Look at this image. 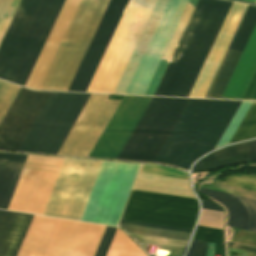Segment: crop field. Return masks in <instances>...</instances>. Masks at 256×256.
Instances as JSON below:
<instances>
[{"instance_id":"obj_1","label":"crop field","mask_w":256,"mask_h":256,"mask_svg":"<svg viewBox=\"0 0 256 256\" xmlns=\"http://www.w3.org/2000/svg\"><path fill=\"white\" fill-rule=\"evenodd\" d=\"M232 4L199 0L154 95L188 96ZM247 6L233 4L189 97H204ZM255 23L249 5L204 98L221 97Z\"/></svg>"},{"instance_id":"obj_2","label":"crop field","mask_w":256,"mask_h":256,"mask_svg":"<svg viewBox=\"0 0 256 256\" xmlns=\"http://www.w3.org/2000/svg\"><path fill=\"white\" fill-rule=\"evenodd\" d=\"M51 92L21 88L0 123V149L17 151ZM90 94L52 92L18 151L57 154ZM91 94L58 154L88 157L120 101Z\"/></svg>"},{"instance_id":"obj_3","label":"crop field","mask_w":256,"mask_h":256,"mask_svg":"<svg viewBox=\"0 0 256 256\" xmlns=\"http://www.w3.org/2000/svg\"><path fill=\"white\" fill-rule=\"evenodd\" d=\"M240 103L153 97L117 159L188 170L195 159L214 149Z\"/></svg>"},{"instance_id":"obj_4","label":"crop field","mask_w":256,"mask_h":256,"mask_svg":"<svg viewBox=\"0 0 256 256\" xmlns=\"http://www.w3.org/2000/svg\"><path fill=\"white\" fill-rule=\"evenodd\" d=\"M157 0H111L67 91L113 93Z\"/></svg>"},{"instance_id":"obj_5","label":"crop field","mask_w":256,"mask_h":256,"mask_svg":"<svg viewBox=\"0 0 256 256\" xmlns=\"http://www.w3.org/2000/svg\"><path fill=\"white\" fill-rule=\"evenodd\" d=\"M65 0H21L0 44V79L25 85Z\"/></svg>"},{"instance_id":"obj_6","label":"crop field","mask_w":256,"mask_h":256,"mask_svg":"<svg viewBox=\"0 0 256 256\" xmlns=\"http://www.w3.org/2000/svg\"><path fill=\"white\" fill-rule=\"evenodd\" d=\"M109 1H81L39 90H67Z\"/></svg>"},{"instance_id":"obj_7","label":"crop field","mask_w":256,"mask_h":256,"mask_svg":"<svg viewBox=\"0 0 256 256\" xmlns=\"http://www.w3.org/2000/svg\"><path fill=\"white\" fill-rule=\"evenodd\" d=\"M101 163L65 158L43 215L80 220Z\"/></svg>"},{"instance_id":"obj_8","label":"crop field","mask_w":256,"mask_h":256,"mask_svg":"<svg viewBox=\"0 0 256 256\" xmlns=\"http://www.w3.org/2000/svg\"><path fill=\"white\" fill-rule=\"evenodd\" d=\"M197 211L193 198L132 190L121 219L192 229Z\"/></svg>"},{"instance_id":"obj_9","label":"crop field","mask_w":256,"mask_h":256,"mask_svg":"<svg viewBox=\"0 0 256 256\" xmlns=\"http://www.w3.org/2000/svg\"><path fill=\"white\" fill-rule=\"evenodd\" d=\"M63 159L28 155L7 210L42 215Z\"/></svg>"},{"instance_id":"obj_10","label":"crop field","mask_w":256,"mask_h":256,"mask_svg":"<svg viewBox=\"0 0 256 256\" xmlns=\"http://www.w3.org/2000/svg\"><path fill=\"white\" fill-rule=\"evenodd\" d=\"M151 99L124 96L89 157L116 159Z\"/></svg>"},{"instance_id":"obj_11","label":"crop field","mask_w":256,"mask_h":256,"mask_svg":"<svg viewBox=\"0 0 256 256\" xmlns=\"http://www.w3.org/2000/svg\"><path fill=\"white\" fill-rule=\"evenodd\" d=\"M105 227L63 220L48 256H94Z\"/></svg>"},{"instance_id":"obj_12","label":"crop field","mask_w":256,"mask_h":256,"mask_svg":"<svg viewBox=\"0 0 256 256\" xmlns=\"http://www.w3.org/2000/svg\"><path fill=\"white\" fill-rule=\"evenodd\" d=\"M61 221L34 216L17 256H47Z\"/></svg>"},{"instance_id":"obj_13","label":"crop field","mask_w":256,"mask_h":256,"mask_svg":"<svg viewBox=\"0 0 256 256\" xmlns=\"http://www.w3.org/2000/svg\"><path fill=\"white\" fill-rule=\"evenodd\" d=\"M200 191L220 201L225 206L228 211L227 225L247 230L249 212L250 218L256 219V200L236 196L247 207L248 212L246 207L234 195L205 188ZM252 219H250L248 230L256 232V220Z\"/></svg>"},{"instance_id":"obj_14","label":"crop field","mask_w":256,"mask_h":256,"mask_svg":"<svg viewBox=\"0 0 256 256\" xmlns=\"http://www.w3.org/2000/svg\"><path fill=\"white\" fill-rule=\"evenodd\" d=\"M33 216L0 211V256H16Z\"/></svg>"},{"instance_id":"obj_15","label":"crop field","mask_w":256,"mask_h":256,"mask_svg":"<svg viewBox=\"0 0 256 256\" xmlns=\"http://www.w3.org/2000/svg\"><path fill=\"white\" fill-rule=\"evenodd\" d=\"M26 156L0 153V209H7Z\"/></svg>"},{"instance_id":"obj_16","label":"crop field","mask_w":256,"mask_h":256,"mask_svg":"<svg viewBox=\"0 0 256 256\" xmlns=\"http://www.w3.org/2000/svg\"><path fill=\"white\" fill-rule=\"evenodd\" d=\"M248 151L249 142L222 149L196 163L192 172L216 169L226 165L248 161Z\"/></svg>"},{"instance_id":"obj_17","label":"crop field","mask_w":256,"mask_h":256,"mask_svg":"<svg viewBox=\"0 0 256 256\" xmlns=\"http://www.w3.org/2000/svg\"><path fill=\"white\" fill-rule=\"evenodd\" d=\"M197 3L198 0H189ZM196 4L188 3L161 60L169 61ZM169 62L160 61L144 95H153Z\"/></svg>"},{"instance_id":"obj_18","label":"crop field","mask_w":256,"mask_h":256,"mask_svg":"<svg viewBox=\"0 0 256 256\" xmlns=\"http://www.w3.org/2000/svg\"><path fill=\"white\" fill-rule=\"evenodd\" d=\"M106 256H147L124 232L117 229Z\"/></svg>"},{"instance_id":"obj_19","label":"crop field","mask_w":256,"mask_h":256,"mask_svg":"<svg viewBox=\"0 0 256 256\" xmlns=\"http://www.w3.org/2000/svg\"><path fill=\"white\" fill-rule=\"evenodd\" d=\"M256 137V102H253L229 143Z\"/></svg>"},{"instance_id":"obj_20","label":"crop field","mask_w":256,"mask_h":256,"mask_svg":"<svg viewBox=\"0 0 256 256\" xmlns=\"http://www.w3.org/2000/svg\"><path fill=\"white\" fill-rule=\"evenodd\" d=\"M119 226L122 227L123 229H125L126 232H130V233L158 236V237L185 240V241H188L189 237L191 235L188 233L148 228V227L135 226V225H128V224H122V223H120Z\"/></svg>"},{"instance_id":"obj_21","label":"crop field","mask_w":256,"mask_h":256,"mask_svg":"<svg viewBox=\"0 0 256 256\" xmlns=\"http://www.w3.org/2000/svg\"><path fill=\"white\" fill-rule=\"evenodd\" d=\"M20 0H0V42Z\"/></svg>"},{"instance_id":"obj_22","label":"crop field","mask_w":256,"mask_h":256,"mask_svg":"<svg viewBox=\"0 0 256 256\" xmlns=\"http://www.w3.org/2000/svg\"><path fill=\"white\" fill-rule=\"evenodd\" d=\"M19 90L20 87L0 80V121L2 120Z\"/></svg>"},{"instance_id":"obj_23","label":"crop field","mask_w":256,"mask_h":256,"mask_svg":"<svg viewBox=\"0 0 256 256\" xmlns=\"http://www.w3.org/2000/svg\"><path fill=\"white\" fill-rule=\"evenodd\" d=\"M225 179L226 181H230V180H233V181L227 182V183H223L219 181H216V182L256 192V176H251V175L227 176L225 177Z\"/></svg>"},{"instance_id":"obj_24","label":"crop field","mask_w":256,"mask_h":256,"mask_svg":"<svg viewBox=\"0 0 256 256\" xmlns=\"http://www.w3.org/2000/svg\"><path fill=\"white\" fill-rule=\"evenodd\" d=\"M223 221L224 213L202 209L198 225L222 229Z\"/></svg>"},{"instance_id":"obj_25","label":"crop field","mask_w":256,"mask_h":256,"mask_svg":"<svg viewBox=\"0 0 256 256\" xmlns=\"http://www.w3.org/2000/svg\"><path fill=\"white\" fill-rule=\"evenodd\" d=\"M193 239L223 244L222 230L219 229L198 226Z\"/></svg>"},{"instance_id":"obj_26","label":"crop field","mask_w":256,"mask_h":256,"mask_svg":"<svg viewBox=\"0 0 256 256\" xmlns=\"http://www.w3.org/2000/svg\"><path fill=\"white\" fill-rule=\"evenodd\" d=\"M117 228L107 226L95 256H105Z\"/></svg>"},{"instance_id":"obj_27","label":"crop field","mask_w":256,"mask_h":256,"mask_svg":"<svg viewBox=\"0 0 256 256\" xmlns=\"http://www.w3.org/2000/svg\"><path fill=\"white\" fill-rule=\"evenodd\" d=\"M242 100H256V70L245 90Z\"/></svg>"},{"instance_id":"obj_28","label":"crop field","mask_w":256,"mask_h":256,"mask_svg":"<svg viewBox=\"0 0 256 256\" xmlns=\"http://www.w3.org/2000/svg\"><path fill=\"white\" fill-rule=\"evenodd\" d=\"M120 222L191 233V230H189V229L174 228V227H167V226H160V225H153V224H146V223H138V222L124 221V220H120Z\"/></svg>"},{"instance_id":"obj_29","label":"crop field","mask_w":256,"mask_h":256,"mask_svg":"<svg viewBox=\"0 0 256 256\" xmlns=\"http://www.w3.org/2000/svg\"><path fill=\"white\" fill-rule=\"evenodd\" d=\"M207 245L208 243L199 241L194 256H206Z\"/></svg>"},{"instance_id":"obj_30","label":"crop field","mask_w":256,"mask_h":256,"mask_svg":"<svg viewBox=\"0 0 256 256\" xmlns=\"http://www.w3.org/2000/svg\"><path fill=\"white\" fill-rule=\"evenodd\" d=\"M200 201H201L202 208L223 212L221 207L218 206L217 204L213 203V202L204 201V200H200Z\"/></svg>"},{"instance_id":"obj_31","label":"crop field","mask_w":256,"mask_h":256,"mask_svg":"<svg viewBox=\"0 0 256 256\" xmlns=\"http://www.w3.org/2000/svg\"><path fill=\"white\" fill-rule=\"evenodd\" d=\"M227 244L230 247H234V248H238V249H242V250H246V251H250V252L256 253V249H254V248H250V247H246V246H241V245H237V244H233V243H229V242H227Z\"/></svg>"},{"instance_id":"obj_32","label":"crop field","mask_w":256,"mask_h":256,"mask_svg":"<svg viewBox=\"0 0 256 256\" xmlns=\"http://www.w3.org/2000/svg\"><path fill=\"white\" fill-rule=\"evenodd\" d=\"M197 242H198V241H195V240L192 241V243H191V245H190V247H189V249H188V251H187L186 256H193V253H194V251H195Z\"/></svg>"},{"instance_id":"obj_33","label":"crop field","mask_w":256,"mask_h":256,"mask_svg":"<svg viewBox=\"0 0 256 256\" xmlns=\"http://www.w3.org/2000/svg\"><path fill=\"white\" fill-rule=\"evenodd\" d=\"M224 256V245L215 244V254Z\"/></svg>"},{"instance_id":"obj_34","label":"crop field","mask_w":256,"mask_h":256,"mask_svg":"<svg viewBox=\"0 0 256 256\" xmlns=\"http://www.w3.org/2000/svg\"><path fill=\"white\" fill-rule=\"evenodd\" d=\"M213 250H214V244L209 243L208 250H207V256H213Z\"/></svg>"},{"instance_id":"obj_35","label":"crop field","mask_w":256,"mask_h":256,"mask_svg":"<svg viewBox=\"0 0 256 256\" xmlns=\"http://www.w3.org/2000/svg\"><path fill=\"white\" fill-rule=\"evenodd\" d=\"M242 1H247V2H252V3L255 2V0H242Z\"/></svg>"}]
</instances>
